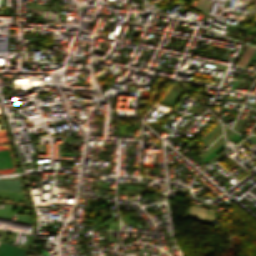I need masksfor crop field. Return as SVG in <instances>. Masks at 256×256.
Here are the masks:
<instances>
[{
  "label": "crop field",
  "mask_w": 256,
  "mask_h": 256,
  "mask_svg": "<svg viewBox=\"0 0 256 256\" xmlns=\"http://www.w3.org/2000/svg\"><path fill=\"white\" fill-rule=\"evenodd\" d=\"M24 248L9 245L6 243H0V256H23Z\"/></svg>",
  "instance_id": "8a807250"
},
{
  "label": "crop field",
  "mask_w": 256,
  "mask_h": 256,
  "mask_svg": "<svg viewBox=\"0 0 256 256\" xmlns=\"http://www.w3.org/2000/svg\"><path fill=\"white\" fill-rule=\"evenodd\" d=\"M253 51H254V48L247 46L245 52L243 53L237 65L244 67V65L246 64L247 60L249 59Z\"/></svg>",
  "instance_id": "ac0d7876"
},
{
  "label": "crop field",
  "mask_w": 256,
  "mask_h": 256,
  "mask_svg": "<svg viewBox=\"0 0 256 256\" xmlns=\"http://www.w3.org/2000/svg\"><path fill=\"white\" fill-rule=\"evenodd\" d=\"M211 3L210 1L208 0H199L198 4H197V8L205 11V12H209V9H210V6H211Z\"/></svg>",
  "instance_id": "34b2d1b8"
},
{
  "label": "crop field",
  "mask_w": 256,
  "mask_h": 256,
  "mask_svg": "<svg viewBox=\"0 0 256 256\" xmlns=\"http://www.w3.org/2000/svg\"><path fill=\"white\" fill-rule=\"evenodd\" d=\"M255 2H256V1H255ZM254 9H256V4L251 7L250 11H252V10H254ZM250 11H249V12H250Z\"/></svg>",
  "instance_id": "412701ff"
},
{
  "label": "crop field",
  "mask_w": 256,
  "mask_h": 256,
  "mask_svg": "<svg viewBox=\"0 0 256 256\" xmlns=\"http://www.w3.org/2000/svg\"><path fill=\"white\" fill-rule=\"evenodd\" d=\"M244 17H245V16H243V17H237V18H235V19H241V20H243Z\"/></svg>",
  "instance_id": "f4fd0767"
}]
</instances>
